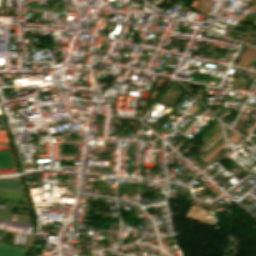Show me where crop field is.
Masks as SVG:
<instances>
[{"label":"crop field","mask_w":256,"mask_h":256,"mask_svg":"<svg viewBox=\"0 0 256 256\" xmlns=\"http://www.w3.org/2000/svg\"><path fill=\"white\" fill-rule=\"evenodd\" d=\"M24 248L9 245L6 243H0V256H23Z\"/></svg>","instance_id":"crop-field-1"},{"label":"crop field","mask_w":256,"mask_h":256,"mask_svg":"<svg viewBox=\"0 0 256 256\" xmlns=\"http://www.w3.org/2000/svg\"><path fill=\"white\" fill-rule=\"evenodd\" d=\"M253 51H254V48L247 46L245 52L243 53L237 65L244 67V65L246 64L247 60L249 59Z\"/></svg>","instance_id":"crop-field-2"},{"label":"crop field","mask_w":256,"mask_h":256,"mask_svg":"<svg viewBox=\"0 0 256 256\" xmlns=\"http://www.w3.org/2000/svg\"><path fill=\"white\" fill-rule=\"evenodd\" d=\"M211 3L210 1L208 0H199L198 4H197V8L205 11V12H209V9H210V6H211Z\"/></svg>","instance_id":"crop-field-3"},{"label":"crop field","mask_w":256,"mask_h":256,"mask_svg":"<svg viewBox=\"0 0 256 256\" xmlns=\"http://www.w3.org/2000/svg\"><path fill=\"white\" fill-rule=\"evenodd\" d=\"M255 2H256V1H255ZM254 9H256V4L251 7L250 11H252V10H254ZM250 11H249V12H250Z\"/></svg>","instance_id":"crop-field-4"},{"label":"crop field","mask_w":256,"mask_h":256,"mask_svg":"<svg viewBox=\"0 0 256 256\" xmlns=\"http://www.w3.org/2000/svg\"><path fill=\"white\" fill-rule=\"evenodd\" d=\"M244 17H245V16H243V17H237V18H235V19H241V20H243Z\"/></svg>","instance_id":"crop-field-5"}]
</instances>
